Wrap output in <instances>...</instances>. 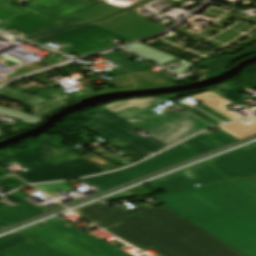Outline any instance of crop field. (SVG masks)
I'll return each instance as SVG.
<instances>
[{"instance_id":"crop-field-1","label":"crop field","mask_w":256,"mask_h":256,"mask_svg":"<svg viewBox=\"0 0 256 256\" xmlns=\"http://www.w3.org/2000/svg\"><path fill=\"white\" fill-rule=\"evenodd\" d=\"M155 198L244 255L256 256V179Z\"/></svg>"},{"instance_id":"crop-field-2","label":"crop field","mask_w":256,"mask_h":256,"mask_svg":"<svg viewBox=\"0 0 256 256\" xmlns=\"http://www.w3.org/2000/svg\"><path fill=\"white\" fill-rule=\"evenodd\" d=\"M103 228L164 256H244L166 206Z\"/></svg>"},{"instance_id":"crop-field-3","label":"crop field","mask_w":256,"mask_h":256,"mask_svg":"<svg viewBox=\"0 0 256 256\" xmlns=\"http://www.w3.org/2000/svg\"><path fill=\"white\" fill-rule=\"evenodd\" d=\"M54 143L57 142L47 136L33 149L8 153L17 162L29 169V171L17 175L30 183H35L107 172L65 147H50Z\"/></svg>"},{"instance_id":"crop-field-4","label":"crop field","mask_w":256,"mask_h":256,"mask_svg":"<svg viewBox=\"0 0 256 256\" xmlns=\"http://www.w3.org/2000/svg\"><path fill=\"white\" fill-rule=\"evenodd\" d=\"M234 141H237V139L224 131L216 135L207 131L133 168L98 177L82 179V181L99 190L95 192L99 193L123 182L169 167Z\"/></svg>"},{"instance_id":"crop-field-5","label":"crop field","mask_w":256,"mask_h":256,"mask_svg":"<svg viewBox=\"0 0 256 256\" xmlns=\"http://www.w3.org/2000/svg\"><path fill=\"white\" fill-rule=\"evenodd\" d=\"M18 232L62 256H112L48 221Z\"/></svg>"},{"instance_id":"crop-field-6","label":"crop field","mask_w":256,"mask_h":256,"mask_svg":"<svg viewBox=\"0 0 256 256\" xmlns=\"http://www.w3.org/2000/svg\"><path fill=\"white\" fill-rule=\"evenodd\" d=\"M114 38L124 43L133 41L91 24L55 31L31 40L41 44H45L51 40H63L68 44L61 49L81 57L99 50L113 47L105 42Z\"/></svg>"},{"instance_id":"crop-field-7","label":"crop field","mask_w":256,"mask_h":256,"mask_svg":"<svg viewBox=\"0 0 256 256\" xmlns=\"http://www.w3.org/2000/svg\"><path fill=\"white\" fill-rule=\"evenodd\" d=\"M230 181L207 161L150 182L165 192Z\"/></svg>"},{"instance_id":"crop-field-8","label":"crop field","mask_w":256,"mask_h":256,"mask_svg":"<svg viewBox=\"0 0 256 256\" xmlns=\"http://www.w3.org/2000/svg\"><path fill=\"white\" fill-rule=\"evenodd\" d=\"M153 108L157 107L154 106L141 111L132 109L119 113V115L159 139H164L173 131L181 127L176 124L177 122L191 116L185 111L179 113L157 114L151 110Z\"/></svg>"},{"instance_id":"crop-field-9","label":"crop field","mask_w":256,"mask_h":256,"mask_svg":"<svg viewBox=\"0 0 256 256\" xmlns=\"http://www.w3.org/2000/svg\"><path fill=\"white\" fill-rule=\"evenodd\" d=\"M14 1L0 0V8L7 4L55 22L100 3L90 0H33L26 8H23L11 5Z\"/></svg>"},{"instance_id":"crop-field-10","label":"crop field","mask_w":256,"mask_h":256,"mask_svg":"<svg viewBox=\"0 0 256 256\" xmlns=\"http://www.w3.org/2000/svg\"><path fill=\"white\" fill-rule=\"evenodd\" d=\"M91 120L151 154L167 146L153 137L144 139L130 131L136 126L103 107L96 109Z\"/></svg>"},{"instance_id":"crop-field-11","label":"crop field","mask_w":256,"mask_h":256,"mask_svg":"<svg viewBox=\"0 0 256 256\" xmlns=\"http://www.w3.org/2000/svg\"><path fill=\"white\" fill-rule=\"evenodd\" d=\"M92 24L133 40L146 38L166 28L126 11Z\"/></svg>"},{"instance_id":"crop-field-12","label":"crop field","mask_w":256,"mask_h":256,"mask_svg":"<svg viewBox=\"0 0 256 256\" xmlns=\"http://www.w3.org/2000/svg\"><path fill=\"white\" fill-rule=\"evenodd\" d=\"M208 162L232 180L256 176V150L250 146Z\"/></svg>"},{"instance_id":"crop-field-13","label":"crop field","mask_w":256,"mask_h":256,"mask_svg":"<svg viewBox=\"0 0 256 256\" xmlns=\"http://www.w3.org/2000/svg\"><path fill=\"white\" fill-rule=\"evenodd\" d=\"M153 209L151 206L145 204L134 209H126L124 207L119 209H112L103 202L99 201L87 207L74 211L75 213L85 217L86 219L102 226L147 210ZM97 225V226H98ZM99 226V227H100Z\"/></svg>"},{"instance_id":"crop-field-14","label":"crop field","mask_w":256,"mask_h":256,"mask_svg":"<svg viewBox=\"0 0 256 256\" xmlns=\"http://www.w3.org/2000/svg\"><path fill=\"white\" fill-rule=\"evenodd\" d=\"M7 196L20 204L16 207L9 205L4 207L0 206V222L7 226L45 212L41 208L14 193Z\"/></svg>"},{"instance_id":"crop-field-15","label":"crop field","mask_w":256,"mask_h":256,"mask_svg":"<svg viewBox=\"0 0 256 256\" xmlns=\"http://www.w3.org/2000/svg\"><path fill=\"white\" fill-rule=\"evenodd\" d=\"M109 84H116L117 88L151 87L174 84L173 81L153 72H138L114 77Z\"/></svg>"},{"instance_id":"crop-field-16","label":"crop field","mask_w":256,"mask_h":256,"mask_svg":"<svg viewBox=\"0 0 256 256\" xmlns=\"http://www.w3.org/2000/svg\"><path fill=\"white\" fill-rule=\"evenodd\" d=\"M2 23L6 24L2 30L10 28L29 35L55 22L21 11Z\"/></svg>"},{"instance_id":"crop-field-17","label":"crop field","mask_w":256,"mask_h":256,"mask_svg":"<svg viewBox=\"0 0 256 256\" xmlns=\"http://www.w3.org/2000/svg\"><path fill=\"white\" fill-rule=\"evenodd\" d=\"M82 125L91 130L92 132L100 135L101 137L108 140L109 144L125 152L136 160H141L151 154L143 151L142 149L132 145L131 143L123 140L122 138L114 135L113 133L103 129L102 127L94 124L92 121L82 123Z\"/></svg>"},{"instance_id":"crop-field-18","label":"crop field","mask_w":256,"mask_h":256,"mask_svg":"<svg viewBox=\"0 0 256 256\" xmlns=\"http://www.w3.org/2000/svg\"><path fill=\"white\" fill-rule=\"evenodd\" d=\"M178 124L181 125L182 127L180 129H178L177 131H175L174 133H172L167 138H165L163 140L164 142H166L170 145H173L190 135H193L205 128L210 127L206 123L198 120L197 118H195L193 116L178 123Z\"/></svg>"},{"instance_id":"crop-field-19","label":"crop field","mask_w":256,"mask_h":256,"mask_svg":"<svg viewBox=\"0 0 256 256\" xmlns=\"http://www.w3.org/2000/svg\"><path fill=\"white\" fill-rule=\"evenodd\" d=\"M31 241L1 252L0 256H58Z\"/></svg>"},{"instance_id":"crop-field-20","label":"crop field","mask_w":256,"mask_h":256,"mask_svg":"<svg viewBox=\"0 0 256 256\" xmlns=\"http://www.w3.org/2000/svg\"><path fill=\"white\" fill-rule=\"evenodd\" d=\"M121 11L118 8H115L111 5H108L106 3H101L95 7H92L88 10H85L79 14H76L72 17L87 21V22H91V21H96V20H100L103 18H106L110 15H113L117 12Z\"/></svg>"},{"instance_id":"crop-field-21","label":"crop field","mask_w":256,"mask_h":256,"mask_svg":"<svg viewBox=\"0 0 256 256\" xmlns=\"http://www.w3.org/2000/svg\"><path fill=\"white\" fill-rule=\"evenodd\" d=\"M256 53V44H254L253 46L241 51L240 53L231 56V57H225V58H221V59H217V60H213V61H209V62H205L202 64H198L208 70L206 71H202L201 74L205 75V74H209V73H213L215 71L221 70L227 66H229L230 61L240 58L242 56L245 55H249V54H253Z\"/></svg>"},{"instance_id":"crop-field-22","label":"crop field","mask_w":256,"mask_h":256,"mask_svg":"<svg viewBox=\"0 0 256 256\" xmlns=\"http://www.w3.org/2000/svg\"><path fill=\"white\" fill-rule=\"evenodd\" d=\"M154 62H157V63H160V64H163L169 60H173L177 57L175 56H172L170 54H167L165 52H162L160 50H157V49H154L152 47H149L147 45H144L142 43H139V44H136V45H133V46H129V47H126Z\"/></svg>"},{"instance_id":"crop-field-23","label":"crop field","mask_w":256,"mask_h":256,"mask_svg":"<svg viewBox=\"0 0 256 256\" xmlns=\"http://www.w3.org/2000/svg\"><path fill=\"white\" fill-rule=\"evenodd\" d=\"M103 55L123 67L120 69L105 72L108 75L116 76V75L131 73V72L147 71L148 70V69H146L132 61H129L113 52L103 54Z\"/></svg>"},{"instance_id":"crop-field-24","label":"crop field","mask_w":256,"mask_h":256,"mask_svg":"<svg viewBox=\"0 0 256 256\" xmlns=\"http://www.w3.org/2000/svg\"><path fill=\"white\" fill-rule=\"evenodd\" d=\"M32 98L37 101V104L33 106L32 115L42 119L45 114L54 111L62 105L67 104L65 102L55 99L47 101L37 95L33 96Z\"/></svg>"},{"instance_id":"crop-field-25","label":"crop field","mask_w":256,"mask_h":256,"mask_svg":"<svg viewBox=\"0 0 256 256\" xmlns=\"http://www.w3.org/2000/svg\"><path fill=\"white\" fill-rule=\"evenodd\" d=\"M211 96L217 98L219 96L208 92V93H204V94H200V95H196V96H192L193 98H195L196 100L208 105L209 107L215 109L216 111L220 112L221 114L227 116L228 118L234 120V119H238L241 118L240 116H238L237 114H235L234 112H227L226 108H224L223 106L217 104L214 99L210 98Z\"/></svg>"},{"instance_id":"crop-field-26","label":"crop field","mask_w":256,"mask_h":256,"mask_svg":"<svg viewBox=\"0 0 256 256\" xmlns=\"http://www.w3.org/2000/svg\"><path fill=\"white\" fill-rule=\"evenodd\" d=\"M0 96L31 106L36 104V101L31 98L32 95L7 87L0 90Z\"/></svg>"},{"instance_id":"crop-field-27","label":"crop field","mask_w":256,"mask_h":256,"mask_svg":"<svg viewBox=\"0 0 256 256\" xmlns=\"http://www.w3.org/2000/svg\"><path fill=\"white\" fill-rule=\"evenodd\" d=\"M79 237L87 240L88 242L100 247L101 249L111 253L112 255L114 256H129L127 254H125L124 252L116 249L115 247L107 244L106 242L98 239L97 237L91 235V234H85V233H82L80 235H78Z\"/></svg>"},{"instance_id":"crop-field-28","label":"crop field","mask_w":256,"mask_h":256,"mask_svg":"<svg viewBox=\"0 0 256 256\" xmlns=\"http://www.w3.org/2000/svg\"><path fill=\"white\" fill-rule=\"evenodd\" d=\"M81 23H86V22L75 19V18H72V17H69L65 20H62L58 23H55V24H53L49 27H46V28H44L40 31H37V32L27 36V37H24V38L30 39V38L36 37L38 35L50 32V31L55 30V29H59V28L67 27V26H72V25H77V24H81Z\"/></svg>"},{"instance_id":"crop-field-29","label":"crop field","mask_w":256,"mask_h":256,"mask_svg":"<svg viewBox=\"0 0 256 256\" xmlns=\"http://www.w3.org/2000/svg\"><path fill=\"white\" fill-rule=\"evenodd\" d=\"M225 132L241 140L256 134V122L236 127L230 130H226Z\"/></svg>"},{"instance_id":"crop-field-30","label":"crop field","mask_w":256,"mask_h":256,"mask_svg":"<svg viewBox=\"0 0 256 256\" xmlns=\"http://www.w3.org/2000/svg\"><path fill=\"white\" fill-rule=\"evenodd\" d=\"M0 114L6 115L8 117L14 118L16 120L25 122V123H29V124H36L37 122L41 121L42 119L33 117L29 114L26 113H22V112H18V111H14V110H10V109H6V108H2L0 107Z\"/></svg>"},{"instance_id":"crop-field-31","label":"crop field","mask_w":256,"mask_h":256,"mask_svg":"<svg viewBox=\"0 0 256 256\" xmlns=\"http://www.w3.org/2000/svg\"><path fill=\"white\" fill-rule=\"evenodd\" d=\"M78 182L77 180L74 181H67V182H61V183H53V184H45V185H35L39 187L38 189L48 193L53 198L60 196L59 194L55 193L57 191L63 190V191H70L71 188L67 187L66 185Z\"/></svg>"},{"instance_id":"crop-field-32","label":"crop field","mask_w":256,"mask_h":256,"mask_svg":"<svg viewBox=\"0 0 256 256\" xmlns=\"http://www.w3.org/2000/svg\"><path fill=\"white\" fill-rule=\"evenodd\" d=\"M167 101V99L162 97H153V98H145V99H132L128 100L127 104L133 108H137L139 110L154 106L156 104Z\"/></svg>"},{"instance_id":"crop-field-33","label":"crop field","mask_w":256,"mask_h":256,"mask_svg":"<svg viewBox=\"0 0 256 256\" xmlns=\"http://www.w3.org/2000/svg\"><path fill=\"white\" fill-rule=\"evenodd\" d=\"M27 241L29 240L16 233L3 237L0 239V252Z\"/></svg>"},{"instance_id":"crop-field-34","label":"crop field","mask_w":256,"mask_h":256,"mask_svg":"<svg viewBox=\"0 0 256 256\" xmlns=\"http://www.w3.org/2000/svg\"><path fill=\"white\" fill-rule=\"evenodd\" d=\"M0 184L3 186L13 190L17 187L26 185L24 182L21 180L17 179L13 175L9 174L8 172L4 171L3 169L0 168Z\"/></svg>"},{"instance_id":"crop-field-35","label":"crop field","mask_w":256,"mask_h":256,"mask_svg":"<svg viewBox=\"0 0 256 256\" xmlns=\"http://www.w3.org/2000/svg\"><path fill=\"white\" fill-rule=\"evenodd\" d=\"M242 91H240L239 89L235 88V89H232V90H229L227 91L223 97L226 98V99H229L243 107H245L244 104H242L240 101L243 100V98H241L240 96H242L243 94L241 95H237L239 93H241Z\"/></svg>"},{"instance_id":"crop-field-36","label":"crop field","mask_w":256,"mask_h":256,"mask_svg":"<svg viewBox=\"0 0 256 256\" xmlns=\"http://www.w3.org/2000/svg\"><path fill=\"white\" fill-rule=\"evenodd\" d=\"M104 107L113 111V112H115V113H119V112H122V111H125V110L132 109L130 106H128L126 104V101L108 104Z\"/></svg>"},{"instance_id":"crop-field-37","label":"crop field","mask_w":256,"mask_h":256,"mask_svg":"<svg viewBox=\"0 0 256 256\" xmlns=\"http://www.w3.org/2000/svg\"><path fill=\"white\" fill-rule=\"evenodd\" d=\"M21 10L4 5L0 10V20L3 21Z\"/></svg>"},{"instance_id":"crop-field-38","label":"crop field","mask_w":256,"mask_h":256,"mask_svg":"<svg viewBox=\"0 0 256 256\" xmlns=\"http://www.w3.org/2000/svg\"><path fill=\"white\" fill-rule=\"evenodd\" d=\"M188 111L191 112V113H193L194 115L198 116L199 118L205 120L206 122L212 124V125L221 123V122H219V121L213 119L212 117H210V116L204 114L203 112H201V111H199V110H197V109H195V108H193V109H191V110H188Z\"/></svg>"},{"instance_id":"crop-field-39","label":"crop field","mask_w":256,"mask_h":256,"mask_svg":"<svg viewBox=\"0 0 256 256\" xmlns=\"http://www.w3.org/2000/svg\"><path fill=\"white\" fill-rule=\"evenodd\" d=\"M198 107L201 108V109H203V110H205L206 112L212 114L213 116H215V117L221 119V120L224 121V122L230 121V119H228L227 117L221 115L220 113L216 112L215 110L209 108L208 106H206V105H204V104H202V105H200V106H198Z\"/></svg>"},{"instance_id":"crop-field-40","label":"crop field","mask_w":256,"mask_h":256,"mask_svg":"<svg viewBox=\"0 0 256 256\" xmlns=\"http://www.w3.org/2000/svg\"><path fill=\"white\" fill-rule=\"evenodd\" d=\"M58 54L54 53L46 58H44L43 62H45L47 65L51 66L60 62H63L64 60L58 58Z\"/></svg>"},{"instance_id":"crop-field-41","label":"crop field","mask_w":256,"mask_h":256,"mask_svg":"<svg viewBox=\"0 0 256 256\" xmlns=\"http://www.w3.org/2000/svg\"><path fill=\"white\" fill-rule=\"evenodd\" d=\"M16 161L12 159L7 153L0 154V165L15 163Z\"/></svg>"},{"instance_id":"crop-field-42","label":"crop field","mask_w":256,"mask_h":256,"mask_svg":"<svg viewBox=\"0 0 256 256\" xmlns=\"http://www.w3.org/2000/svg\"><path fill=\"white\" fill-rule=\"evenodd\" d=\"M126 197H132V195L125 191V192L117 194V195H115V196H113L111 198H108V199H106L104 201L116 200V199H121V198H126Z\"/></svg>"},{"instance_id":"crop-field-43","label":"crop field","mask_w":256,"mask_h":256,"mask_svg":"<svg viewBox=\"0 0 256 256\" xmlns=\"http://www.w3.org/2000/svg\"><path fill=\"white\" fill-rule=\"evenodd\" d=\"M249 122H252V121H256V119L254 120H248ZM247 122V121H246ZM243 124H246L244 121L242 122H237V123H232V124H228V125H224V126H221L219 128L223 129V130H226V129H229V128H233V127H236V126H239V125H243Z\"/></svg>"},{"instance_id":"crop-field-44","label":"crop field","mask_w":256,"mask_h":256,"mask_svg":"<svg viewBox=\"0 0 256 256\" xmlns=\"http://www.w3.org/2000/svg\"><path fill=\"white\" fill-rule=\"evenodd\" d=\"M92 93H93L92 90H87V91H80L79 93H72V94H70V95H72V96H74V97L80 99V98H82V97H84V96H87V95H90V94H92Z\"/></svg>"},{"instance_id":"crop-field-45","label":"crop field","mask_w":256,"mask_h":256,"mask_svg":"<svg viewBox=\"0 0 256 256\" xmlns=\"http://www.w3.org/2000/svg\"><path fill=\"white\" fill-rule=\"evenodd\" d=\"M192 66H193V64L187 62V63H185L184 65H182L181 67L177 68L174 71H176L178 73H182V72L186 71L187 69L191 68Z\"/></svg>"},{"instance_id":"crop-field-46","label":"crop field","mask_w":256,"mask_h":256,"mask_svg":"<svg viewBox=\"0 0 256 256\" xmlns=\"http://www.w3.org/2000/svg\"><path fill=\"white\" fill-rule=\"evenodd\" d=\"M215 101L218 102V103H220V104H222L223 106L232 103V102H230V101H228V100H226V99H224V98H222V97L216 99Z\"/></svg>"},{"instance_id":"crop-field-47","label":"crop field","mask_w":256,"mask_h":256,"mask_svg":"<svg viewBox=\"0 0 256 256\" xmlns=\"http://www.w3.org/2000/svg\"><path fill=\"white\" fill-rule=\"evenodd\" d=\"M16 194H18L19 196L23 197V198H26V197H30L29 195L21 192V191H18V192H15Z\"/></svg>"},{"instance_id":"crop-field-48","label":"crop field","mask_w":256,"mask_h":256,"mask_svg":"<svg viewBox=\"0 0 256 256\" xmlns=\"http://www.w3.org/2000/svg\"><path fill=\"white\" fill-rule=\"evenodd\" d=\"M57 206H55V207H52V208H49V209H47V208H45V207H43V206H41V205H38L39 207H41L42 209H44V210H46V211H48V210H50V209H53V208H56V207H58V206H61L60 204H58V203H55ZM51 211V210H50Z\"/></svg>"},{"instance_id":"crop-field-49","label":"crop field","mask_w":256,"mask_h":256,"mask_svg":"<svg viewBox=\"0 0 256 256\" xmlns=\"http://www.w3.org/2000/svg\"><path fill=\"white\" fill-rule=\"evenodd\" d=\"M6 228L3 224L0 223V229Z\"/></svg>"},{"instance_id":"crop-field-50","label":"crop field","mask_w":256,"mask_h":256,"mask_svg":"<svg viewBox=\"0 0 256 256\" xmlns=\"http://www.w3.org/2000/svg\"><path fill=\"white\" fill-rule=\"evenodd\" d=\"M254 6L256 7V3L254 4Z\"/></svg>"},{"instance_id":"crop-field-51","label":"crop field","mask_w":256,"mask_h":256,"mask_svg":"<svg viewBox=\"0 0 256 256\" xmlns=\"http://www.w3.org/2000/svg\"><path fill=\"white\" fill-rule=\"evenodd\" d=\"M157 256H162V255L159 254V255H157Z\"/></svg>"},{"instance_id":"crop-field-52","label":"crop field","mask_w":256,"mask_h":256,"mask_svg":"<svg viewBox=\"0 0 256 256\" xmlns=\"http://www.w3.org/2000/svg\"><path fill=\"white\" fill-rule=\"evenodd\" d=\"M101 1H105V0H101Z\"/></svg>"},{"instance_id":"crop-field-53","label":"crop field","mask_w":256,"mask_h":256,"mask_svg":"<svg viewBox=\"0 0 256 256\" xmlns=\"http://www.w3.org/2000/svg\"><path fill=\"white\" fill-rule=\"evenodd\" d=\"M254 147H256V145H254Z\"/></svg>"},{"instance_id":"crop-field-54","label":"crop field","mask_w":256,"mask_h":256,"mask_svg":"<svg viewBox=\"0 0 256 256\" xmlns=\"http://www.w3.org/2000/svg\"><path fill=\"white\" fill-rule=\"evenodd\" d=\"M1 33V32H0Z\"/></svg>"}]
</instances>
